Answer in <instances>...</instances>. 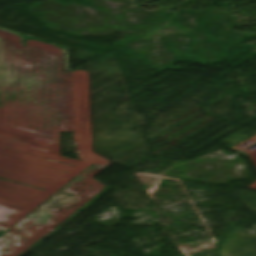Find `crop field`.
I'll return each instance as SVG.
<instances>
[{
	"label": "crop field",
	"mask_w": 256,
	"mask_h": 256,
	"mask_svg": "<svg viewBox=\"0 0 256 256\" xmlns=\"http://www.w3.org/2000/svg\"><path fill=\"white\" fill-rule=\"evenodd\" d=\"M22 231L23 230L14 226L8 232H6L3 236H1L0 237V249Z\"/></svg>",
	"instance_id": "crop-field-2"
},
{
	"label": "crop field",
	"mask_w": 256,
	"mask_h": 256,
	"mask_svg": "<svg viewBox=\"0 0 256 256\" xmlns=\"http://www.w3.org/2000/svg\"><path fill=\"white\" fill-rule=\"evenodd\" d=\"M78 201L79 200L72 199L57 193L53 197V202L44 203L28 217H26V219L30 220V222L47 226L50 223L49 211L53 207L73 206Z\"/></svg>",
	"instance_id": "crop-field-1"
}]
</instances>
